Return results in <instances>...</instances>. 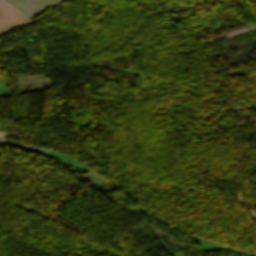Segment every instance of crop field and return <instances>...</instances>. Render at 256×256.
Returning <instances> with one entry per match:
<instances>
[{"label":"crop field","instance_id":"obj_4","mask_svg":"<svg viewBox=\"0 0 256 256\" xmlns=\"http://www.w3.org/2000/svg\"><path fill=\"white\" fill-rule=\"evenodd\" d=\"M0 34H1V32H0Z\"/></svg>","mask_w":256,"mask_h":256},{"label":"crop field","instance_id":"obj_1","mask_svg":"<svg viewBox=\"0 0 256 256\" xmlns=\"http://www.w3.org/2000/svg\"><path fill=\"white\" fill-rule=\"evenodd\" d=\"M30 19L60 0H6Z\"/></svg>","mask_w":256,"mask_h":256},{"label":"crop field","instance_id":"obj_2","mask_svg":"<svg viewBox=\"0 0 256 256\" xmlns=\"http://www.w3.org/2000/svg\"><path fill=\"white\" fill-rule=\"evenodd\" d=\"M29 21L20 12L0 0V30L8 29Z\"/></svg>","mask_w":256,"mask_h":256},{"label":"crop field","instance_id":"obj_3","mask_svg":"<svg viewBox=\"0 0 256 256\" xmlns=\"http://www.w3.org/2000/svg\"><path fill=\"white\" fill-rule=\"evenodd\" d=\"M6 135H7V134H5V133H0V138L5 139V138H6Z\"/></svg>","mask_w":256,"mask_h":256}]
</instances>
